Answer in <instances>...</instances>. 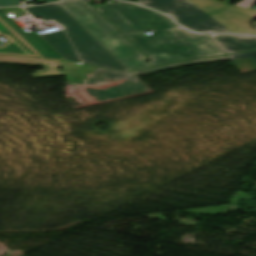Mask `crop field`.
<instances>
[{
	"instance_id": "obj_1",
	"label": "crop field",
	"mask_w": 256,
	"mask_h": 256,
	"mask_svg": "<svg viewBox=\"0 0 256 256\" xmlns=\"http://www.w3.org/2000/svg\"><path fill=\"white\" fill-rule=\"evenodd\" d=\"M96 9L150 58L153 66L224 54L208 35L192 34L183 29L155 31L152 36L143 34V31L177 28L170 18L161 13L121 1Z\"/></svg>"
},
{
	"instance_id": "obj_2",
	"label": "crop field",
	"mask_w": 256,
	"mask_h": 256,
	"mask_svg": "<svg viewBox=\"0 0 256 256\" xmlns=\"http://www.w3.org/2000/svg\"><path fill=\"white\" fill-rule=\"evenodd\" d=\"M24 8L32 16L39 15L43 20L54 19L64 29L40 37L66 60L107 69L129 70L60 5Z\"/></svg>"
},
{
	"instance_id": "obj_3",
	"label": "crop field",
	"mask_w": 256,
	"mask_h": 256,
	"mask_svg": "<svg viewBox=\"0 0 256 256\" xmlns=\"http://www.w3.org/2000/svg\"><path fill=\"white\" fill-rule=\"evenodd\" d=\"M59 4L130 70L151 67L145 61L147 58L138 52L85 0H72Z\"/></svg>"
},
{
	"instance_id": "obj_4",
	"label": "crop field",
	"mask_w": 256,
	"mask_h": 256,
	"mask_svg": "<svg viewBox=\"0 0 256 256\" xmlns=\"http://www.w3.org/2000/svg\"><path fill=\"white\" fill-rule=\"evenodd\" d=\"M126 79L117 86H111L107 90H95L88 88V85H98L102 83H111ZM81 97H84L88 102H104L118 98L128 97L141 93L150 92L151 90L132 72H116L102 68L90 77L88 83H84L77 87Z\"/></svg>"
},
{
	"instance_id": "obj_5",
	"label": "crop field",
	"mask_w": 256,
	"mask_h": 256,
	"mask_svg": "<svg viewBox=\"0 0 256 256\" xmlns=\"http://www.w3.org/2000/svg\"><path fill=\"white\" fill-rule=\"evenodd\" d=\"M152 9L170 14L179 24L196 32H229L187 0H137Z\"/></svg>"
},
{
	"instance_id": "obj_6",
	"label": "crop field",
	"mask_w": 256,
	"mask_h": 256,
	"mask_svg": "<svg viewBox=\"0 0 256 256\" xmlns=\"http://www.w3.org/2000/svg\"><path fill=\"white\" fill-rule=\"evenodd\" d=\"M0 36H4L9 42L0 47V54H14L21 56H41L19 35L0 19Z\"/></svg>"
},
{
	"instance_id": "obj_7",
	"label": "crop field",
	"mask_w": 256,
	"mask_h": 256,
	"mask_svg": "<svg viewBox=\"0 0 256 256\" xmlns=\"http://www.w3.org/2000/svg\"><path fill=\"white\" fill-rule=\"evenodd\" d=\"M225 54L256 49V37L241 35H209Z\"/></svg>"
},
{
	"instance_id": "obj_8",
	"label": "crop field",
	"mask_w": 256,
	"mask_h": 256,
	"mask_svg": "<svg viewBox=\"0 0 256 256\" xmlns=\"http://www.w3.org/2000/svg\"><path fill=\"white\" fill-rule=\"evenodd\" d=\"M66 74L67 81L81 83L87 82L88 78L95 72L96 67L60 61Z\"/></svg>"
},
{
	"instance_id": "obj_9",
	"label": "crop field",
	"mask_w": 256,
	"mask_h": 256,
	"mask_svg": "<svg viewBox=\"0 0 256 256\" xmlns=\"http://www.w3.org/2000/svg\"><path fill=\"white\" fill-rule=\"evenodd\" d=\"M223 60H229V59H228L227 56L216 57V58L192 59V60H187V61H183V62H179V63L167 65V66H162V67H158V68L135 71L133 73H135L136 75L148 74V73H152V72H156V71H160V70L170 69V68L179 67V66L188 65V64H193V63L223 61Z\"/></svg>"
},
{
	"instance_id": "obj_10",
	"label": "crop field",
	"mask_w": 256,
	"mask_h": 256,
	"mask_svg": "<svg viewBox=\"0 0 256 256\" xmlns=\"http://www.w3.org/2000/svg\"><path fill=\"white\" fill-rule=\"evenodd\" d=\"M1 10L4 11V12H5L8 16H10L11 18L28 14L27 12H25V11H24L23 9H21L20 7L6 8V9H1Z\"/></svg>"
},
{
	"instance_id": "obj_11",
	"label": "crop field",
	"mask_w": 256,
	"mask_h": 256,
	"mask_svg": "<svg viewBox=\"0 0 256 256\" xmlns=\"http://www.w3.org/2000/svg\"><path fill=\"white\" fill-rule=\"evenodd\" d=\"M59 0H45V2H54ZM19 5V0H0V6H13Z\"/></svg>"
},
{
	"instance_id": "obj_12",
	"label": "crop field",
	"mask_w": 256,
	"mask_h": 256,
	"mask_svg": "<svg viewBox=\"0 0 256 256\" xmlns=\"http://www.w3.org/2000/svg\"><path fill=\"white\" fill-rule=\"evenodd\" d=\"M250 56H253V58L256 61V51L244 53V54L229 55L228 57L230 60H234V59L245 58V57H250Z\"/></svg>"
},
{
	"instance_id": "obj_13",
	"label": "crop field",
	"mask_w": 256,
	"mask_h": 256,
	"mask_svg": "<svg viewBox=\"0 0 256 256\" xmlns=\"http://www.w3.org/2000/svg\"><path fill=\"white\" fill-rule=\"evenodd\" d=\"M255 2V0H243L241 1L240 3H238L236 6H239V7H243V8H246L248 9L249 7H251Z\"/></svg>"
},
{
	"instance_id": "obj_14",
	"label": "crop field",
	"mask_w": 256,
	"mask_h": 256,
	"mask_svg": "<svg viewBox=\"0 0 256 256\" xmlns=\"http://www.w3.org/2000/svg\"><path fill=\"white\" fill-rule=\"evenodd\" d=\"M255 62V61H254ZM256 63V62H255ZM242 73H245V72H251V70L249 69H243V70H240Z\"/></svg>"
},
{
	"instance_id": "obj_15",
	"label": "crop field",
	"mask_w": 256,
	"mask_h": 256,
	"mask_svg": "<svg viewBox=\"0 0 256 256\" xmlns=\"http://www.w3.org/2000/svg\"><path fill=\"white\" fill-rule=\"evenodd\" d=\"M256 11V10H255Z\"/></svg>"
}]
</instances>
